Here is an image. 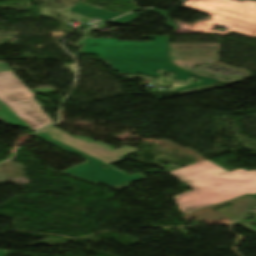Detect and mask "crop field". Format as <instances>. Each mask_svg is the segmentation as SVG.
I'll return each mask as SVG.
<instances>
[{"instance_id": "1", "label": "crop field", "mask_w": 256, "mask_h": 256, "mask_svg": "<svg viewBox=\"0 0 256 256\" xmlns=\"http://www.w3.org/2000/svg\"><path fill=\"white\" fill-rule=\"evenodd\" d=\"M170 173L194 189L174 197L184 214L248 193L256 194V170L229 172L206 160Z\"/></svg>"}, {"instance_id": "2", "label": "crop field", "mask_w": 256, "mask_h": 256, "mask_svg": "<svg viewBox=\"0 0 256 256\" xmlns=\"http://www.w3.org/2000/svg\"><path fill=\"white\" fill-rule=\"evenodd\" d=\"M36 136L65 152L81 155L88 161L62 173L75 175L92 183L103 182L118 190L144 178L143 173L129 176L109 166L123 160L122 156L137 151L136 148L125 146L113 150L101 142H94L84 137H74L53 126L42 130ZM102 166L108 168L104 169Z\"/></svg>"}, {"instance_id": "3", "label": "crop field", "mask_w": 256, "mask_h": 256, "mask_svg": "<svg viewBox=\"0 0 256 256\" xmlns=\"http://www.w3.org/2000/svg\"><path fill=\"white\" fill-rule=\"evenodd\" d=\"M182 7L209 14L211 19L199 21L195 25L175 21L180 27L203 33L224 35L235 31L256 38V2L250 0L243 3L234 0H185ZM216 26L226 28L227 31H215Z\"/></svg>"}, {"instance_id": "4", "label": "crop field", "mask_w": 256, "mask_h": 256, "mask_svg": "<svg viewBox=\"0 0 256 256\" xmlns=\"http://www.w3.org/2000/svg\"><path fill=\"white\" fill-rule=\"evenodd\" d=\"M34 94L5 65L0 63V118L10 125L34 132L53 121L32 98ZM42 129V128H41Z\"/></svg>"}, {"instance_id": "5", "label": "crop field", "mask_w": 256, "mask_h": 256, "mask_svg": "<svg viewBox=\"0 0 256 256\" xmlns=\"http://www.w3.org/2000/svg\"><path fill=\"white\" fill-rule=\"evenodd\" d=\"M153 43L126 42L117 39L85 38L83 54H93L100 59L112 60H167L165 46L168 36L156 37ZM98 45V46H94Z\"/></svg>"}, {"instance_id": "6", "label": "crop field", "mask_w": 256, "mask_h": 256, "mask_svg": "<svg viewBox=\"0 0 256 256\" xmlns=\"http://www.w3.org/2000/svg\"><path fill=\"white\" fill-rule=\"evenodd\" d=\"M108 61L113 68H115L120 73H141L151 77L160 78L159 75L156 74L157 69H164L165 72L176 73L174 80H188L191 76L200 78L203 80L202 83L188 85L184 87L175 88L176 92L182 91L192 87H198L204 84L216 83V80L203 78L195 76L186 71L180 70L176 68L169 61Z\"/></svg>"}, {"instance_id": "7", "label": "crop field", "mask_w": 256, "mask_h": 256, "mask_svg": "<svg viewBox=\"0 0 256 256\" xmlns=\"http://www.w3.org/2000/svg\"><path fill=\"white\" fill-rule=\"evenodd\" d=\"M218 45L170 44L171 60H218Z\"/></svg>"}, {"instance_id": "8", "label": "crop field", "mask_w": 256, "mask_h": 256, "mask_svg": "<svg viewBox=\"0 0 256 256\" xmlns=\"http://www.w3.org/2000/svg\"><path fill=\"white\" fill-rule=\"evenodd\" d=\"M70 11L85 16L87 18L98 17L104 21L121 15L120 13H111L105 9H97L81 2L71 8Z\"/></svg>"}, {"instance_id": "9", "label": "crop field", "mask_w": 256, "mask_h": 256, "mask_svg": "<svg viewBox=\"0 0 256 256\" xmlns=\"http://www.w3.org/2000/svg\"><path fill=\"white\" fill-rule=\"evenodd\" d=\"M174 64L182 67L183 69L187 70V71H190L192 73H195V74H198V75H201V76H205V77H213L221 82H227L229 84H234L238 81L236 80H225L223 78H217V77H214V76H210V75H206V74H202V73H196L192 70L193 66L195 64H198V63H203V62H215V61H172Z\"/></svg>"}, {"instance_id": "10", "label": "crop field", "mask_w": 256, "mask_h": 256, "mask_svg": "<svg viewBox=\"0 0 256 256\" xmlns=\"http://www.w3.org/2000/svg\"><path fill=\"white\" fill-rule=\"evenodd\" d=\"M140 14H142V13H139V14H129L127 16L115 19V20L111 21L110 23L126 25V24L136 20L138 18V15H140Z\"/></svg>"}, {"instance_id": "11", "label": "crop field", "mask_w": 256, "mask_h": 256, "mask_svg": "<svg viewBox=\"0 0 256 256\" xmlns=\"http://www.w3.org/2000/svg\"><path fill=\"white\" fill-rule=\"evenodd\" d=\"M149 11H153V12H157V13H160L161 14V16H164V17H166L167 19H168V23H167V25H169V26H171V27H173V28H175V29H177V27L174 25V23L170 20V18H168L167 17V12L166 11H161V10H156V9H148Z\"/></svg>"}, {"instance_id": "12", "label": "crop field", "mask_w": 256, "mask_h": 256, "mask_svg": "<svg viewBox=\"0 0 256 256\" xmlns=\"http://www.w3.org/2000/svg\"><path fill=\"white\" fill-rule=\"evenodd\" d=\"M173 33H199V32H195V31H191V30L179 27V29L175 30Z\"/></svg>"}, {"instance_id": "13", "label": "crop field", "mask_w": 256, "mask_h": 256, "mask_svg": "<svg viewBox=\"0 0 256 256\" xmlns=\"http://www.w3.org/2000/svg\"><path fill=\"white\" fill-rule=\"evenodd\" d=\"M245 228L256 232V227L245 226Z\"/></svg>"}, {"instance_id": "14", "label": "crop field", "mask_w": 256, "mask_h": 256, "mask_svg": "<svg viewBox=\"0 0 256 256\" xmlns=\"http://www.w3.org/2000/svg\"><path fill=\"white\" fill-rule=\"evenodd\" d=\"M8 252H0V256H7Z\"/></svg>"}, {"instance_id": "15", "label": "crop field", "mask_w": 256, "mask_h": 256, "mask_svg": "<svg viewBox=\"0 0 256 256\" xmlns=\"http://www.w3.org/2000/svg\"><path fill=\"white\" fill-rule=\"evenodd\" d=\"M122 1H126V2H128V1H130V0H122Z\"/></svg>"}, {"instance_id": "16", "label": "crop field", "mask_w": 256, "mask_h": 256, "mask_svg": "<svg viewBox=\"0 0 256 256\" xmlns=\"http://www.w3.org/2000/svg\"><path fill=\"white\" fill-rule=\"evenodd\" d=\"M255 197H256V195H255Z\"/></svg>"}]
</instances>
